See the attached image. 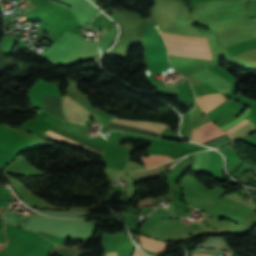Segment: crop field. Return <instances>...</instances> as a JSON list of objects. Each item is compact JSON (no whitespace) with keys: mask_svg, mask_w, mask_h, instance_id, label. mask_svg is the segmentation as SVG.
<instances>
[{"mask_svg":"<svg viewBox=\"0 0 256 256\" xmlns=\"http://www.w3.org/2000/svg\"><path fill=\"white\" fill-rule=\"evenodd\" d=\"M160 33L163 36V38H165L166 43L209 48L206 39L185 37V36L173 35V34H168V33H163V32H160ZM171 44H167V45L172 46V47H180V48H189V49H198V50L209 51V49H205V48L179 46V45H171ZM172 47H168L169 48V54H172V55H179V56H186V57H193V58L212 59V56H211L210 52L198 51V50H189V49H180V48H172Z\"/></svg>","mask_w":256,"mask_h":256,"instance_id":"obj_1","label":"crop field"},{"mask_svg":"<svg viewBox=\"0 0 256 256\" xmlns=\"http://www.w3.org/2000/svg\"><path fill=\"white\" fill-rule=\"evenodd\" d=\"M145 165V167L152 168L163 162L171 161L172 159L168 156L163 155H151V157H140Z\"/></svg>","mask_w":256,"mask_h":256,"instance_id":"obj_9","label":"crop field"},{"mask_svg":"<svg viewBox=\"0 0 256 256\" xmlns=\"http://www.w3.org/2000/svg\"><path fill=\"white\" fill-rule=\"evenodd\" d=\"M111 121L120 123V124H124V125H128V126H132V127H137V128L157 132V133L162 132V130L167 127L166 125L159 124V123L126 121V120L118 119L116 117L113 118Z\"/></svg>","mask_w":256,"mask_h":256,"instance_id":"obj_7","label":"crop field"},{"mask_svg":"<svg viewBox=\"0 0 256 256\" xmlns=\"http://www.w3.org/2000/svg\"><path fill=\"white\" fill-rule=\"evenodd\" d=\"M210 123H211V122H210ZM208 124H209V123H208ZM206 125H207V124H206ZM204 126H205V125H204ZM202 127H203V126H202ZM200 128H201V127H200ZM198 129H199V128H198ZM196 130H197V129H196ZM217 130H219V128H217V127L212 123V124H210V125H208V126L202 128V129H200V130L194 132V133H193V141H197V140H199V139H201V138H203V137H205V136H207V135H209V134H211V133H213V132H215V131H217ZM194 131H195V130H194ZM222 134H224V133L220 130V131H218V132H216V133H214V134H212V135H210V136H208V137H206V138H204V139L198 141L197 143L204 144V143H206V142H208V141H210V140H212V139H214V138H216V137H218V136H220V135H222Z\"/></svg>","mask_w":256,"mask_h":256,"instance_id":"obj_6","label":"crop field"},{"mask_svg":"<svg viewBox=\"0 0 256 256\" xmlns=\"http://www.w3.org/2000/svg\"><path fill=\"white\" fill-rule=\"evenodd\" d=\"M145 61L149 72L155 75L171 67L163 39L145 49Z\"/></svg>","mask_w":256,"mask_h":256,"instance_id":"obj_2","label":"crop field"},{"mask_svg":"<svg viewBox=\"0 0 256 256\" xmlns=\"http://www.w3.org/2000/svg\"><path fill=\"white\" fill-rule=\"evenodd\" d=\"M63 107L67 120L73 122L84 124L86 120L93 115L69 96L64 97Z\"/></svg>","mask_w":256,"mask_h":256,"instance_id":"obj_3","label":"crop field"},{"mask_svg":"<svg viewBox=\"0 0 256 256\" xmlns=\"http://www.w3.org/2000/svg\"><path fill=\"white\" fill-rule=\"evenodd\" d=\"M117 255V252H110V253H107L106 256H116ZM119 256V255H117Z\"/></svg>","mask_w":256,"mask_h":256,"instance_id":"obj_11","label":"crop field"},{"mask_svg":"<svg viewBox=\"0 0 256 256\" xmlns=\"http://www.w3.org/2000/svg\"><path fill=\"white\" fill-rule=\"evenodd\" d=\"M7 205V202L0 199V207ZM0 228H3V225L0 223Z\"/></svg>","mask_w":256,"mask_h":256,"instance_id":"obj_10","label":"crop field"},{"mask_svg":"<svg viewBox=\"0 0 256 256\" xmlns=\"http://www.w3.org/2000/svg\"><path fill=\"white\" fill-rule=\"evenodd\" d=\"M141 243H142V247L148 250H152L155 252H159L161 250L164 249V247L166 246V243L154 240V239H150L144 236H140L138 235Z\"/></svg>","mask_w":256,"mask_h":256,"instance_id":"obj_8","label":"crop field"},{"mask_svg":"<svg viewBox=\"0 0 256 256\" xmlns=\"http://www.w3.org/2000/svg\"><path fill=\"white\" fill-rule=\"evenodd\" d=\"M193 75L222 92L229 91L230 84L225 82L220 77H218L216 74L212 73L211 71H209L207 69H204L201 72L193 74Z\"/></svg>","mask_w":256,"mask_h":256,"instance_id":"obj_5","label":"crop field"},{"mask_svg":"<svg viewBox=\"0 0 256 256\" xmlns=\"http://www.w3.org/2000/svg\"><path fill=\"white\" fill-rule=\"evenodd\" d=\"M204 255H208V254H204ZM203 254H195V255H191V256H204ZM211 256V255H208Z\"/></svg>","mask_w":256,"mask_h":256,"instance_id":"obj_12","label":"crop field"},{"mask_svg":"<svg viewBox=\"0 0 256 256\" xmlns=\"http://www.w3.org/2000/svg\"><path fill=\"white\" fill-rule=\"evenodd\" d=\"M250 111H251V110H250L249 108H247V109L243 112V114H242L238 119H236V120H234V121H232V122H230V123H228V124H226V125H224V126H222V127H220V128H221L222 130H226V129H228V128L234 126V125H236L237 123H239L240 121H242L243 118H244ZM247 122H249V121H247V120L244 119L242 122H240L239 124H237L236 126H234L233 128H231V129H229V130H227V131H225V132L228 134V133L232 132L233 130L237 129L238 127L244 125V124L247 123ZM255 131H256L255 125L249 122V123L245 124L244 126L240 127L239 129L233 131L232 133H230V134H228V135H229V137L232 139V141H234V140H236V139H238V138H240V137H242V136H244V135H247V134L252 133V132H255Z\"/></svg>","mask_w":256,"mask_h":256,"instance_id":"obj_4","label":"crop field"}]
</instances>
